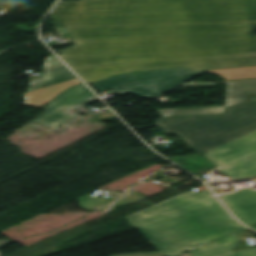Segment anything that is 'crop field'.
I'll return each instance as SVG.
<instances>
[{"label":"crop field","mask_w":256,"mask_h":256,"mask_svg":"<svg viewBox=\"0 0 256 256\" xmlns=\"http://www.w3.org/2000/svg\"><path fill=\"white\" fill-rule=\"evenodd\" d=\"M50 16L76 43L60 57L88 84L168 67L256 65V0L59 1Z\"/></svg>","instance_id":"crop-field-1"},{"label":"crop field","mask_w":256,"mask_h":256,"mask_svg":"<svg viewBox=\"0 0 256 256\" xmlns=\"http://www.w3.org/2000/svg\"><path fill=\"white\" fill-rule=\"evenodd\" d=\"M127 219L153 243L232 219V216L207 189L197 193L187 191Z\"/></svg>","instance_id":"crop-field-2"},{"label":"crop field","mask_w":256,"mask_h":256,"mask_svg":"<svg viewBox=\"0 0 256 256\" xmlns=\"http://www.w3.org/2000/svg\"><path fill=\"white\" fill-rule=\"evenodd\" d=\"M156 124L165 134L175 133L200 154L256 131V102L226 108L225 115L163 118Z\"/></svg>","instance_id":"crop-field-3"},{"label":"crop field","mask_w":256,"mask_h":256,"mask_svg":"<svg viewBox=\"0 0 256 256\" xmlns=\"http://www.w3.org/2000/svg\"><path fill=\"white\" fill-rule=\"evenodd\" d=\"M220 173L234 180L256 176V132L204 153ZM234 215L251 227L256 223V190L240 189L220 196Z\"/></svg>","instance_id":"crop-field-4"},{"label":"crop field","mask_w":256,"mask_h":256,"mask_svg":"<svg viewBox=\"0 0 256 256\" xmlns=\"http://www.w3.org/2000/svg\"><path fill=\"white\" fill-rule=\"evenodd\" d=\"M204 73L186 68L119 75L101 82L93 83L101 92L114 88L115 93L137 94L153 99Z\"/></svg>","instance_id":"crop-field-5"},{"label":"crop field","mask_w":256,"mask_h":256,"mask_svg":"<svg viewBox=\"0 0 256 256\" xmlns=\"http://www.w3.org/2000/svg\"><path fill=\"white\" fill-rule=\"evenodd\" d=\"M242 230H246V228L239 224L236 220L232 219L180 236L156 242L153 245L164 256H176L183 252L193 250L197 247L213 242L223 236L229 235L232 232Z\"/></svg>","instance_id":"crop-field-6"},{"label":"crop field","mask_w":256,"mask_h":256,"mask_svg":"<svg viewBox=\"0 0 256 256\" xmlns=\"http://www.w3.org/2000/svg\"><path fill=\"white\" fill-rule=\"evenodd\" d=\"M97 99L84 84L75 86L46 105L43 109L47 112L34 122L55 130L76 117L66 111Z\"/></svg>","instance_id":"crop-field-7"},{"label":"crop field","mask_w":256,"mask_h":256,"mask_svg":"<svg viewBox=\"0 0 256 256\" xmlns=\"http://www.w3.org/2000/svg\"><path fill=\"white\" fill-rule=\"evenodd\" d=\"M256 101V80L227 82L225 106L176 108L158 110L161 117L202 116L224 114L225 107Z\"/></svg>","instance_id":"crop-field-8"},{"label":"crop field","mask_w":256,"mask_h":256,"mask_svg":"<svg viewBox=\"0 0 256 256\" xmlns=\"http://www.w3.org/2000/svg\"><path fill=\"white\" fill-rule=\"evenodd\" d=\"M144 197L146 196L131 190L112 201L104 198H91L87 196H84L78 200L80 201L79 205L84 210L91 211L92 209H95L109 213L116 210L119 206H125Z\"/></svg>","instance_id":"crop-field-9"},{"label":"crop field","mask_w":256,"mask_h":256,"mask_svg":"<svg viewBox=\"0 0 256 256\" xmlns=\"http://www.w3.org/2000/svg\"><path fill=\"white\" fill-rule=\"evenodd\" d=\"M73 78H76V76L65 65L45 69L38 78L31 79L27 92Z\"/></svg>","instance_id":"crop-field-10"},{"label":"crop field","mask_w":256,"mask_h":256,"mask_svg":"<svg viewBox=\"0 0 256 256\" xmlns=\"http://www.w3.org/2000/svg\"><path fill=\"white\" fill-rule=\"evenodd\" d=\"M238 245L239 241L235 233H233L213 243L197 248L189 253L191 256H219L234 252Z\"/></svg>","instance_id":"crop-field-11"},{"label":"crop field","mask_w":256,"mask_h":256,"mask_svg":"<svg viewBox=\"0 0 256 256\" xmlns=\"http://www.w3.org/2000/svg\"><path fill=\"white\" fill-rule=\"evenodd\" d=\"M205 72L221 76L226 80L248 78V77L256 78V66L216 69V70H208Z\"/></svg>","instance_id":"crop-field-12"},{"label":"crop field","mask_w":256,"mask_h":256,"mask_svg":"<svg viewBox=\"0 0 256 256\" xmlns=\"http://www.w3.org/2000/svg\"><path fill=\"white\" fill-rule=\"evenodd\" d=\"M224 256H256V247Z\"/></svg>","instance_id":"crop-field-13"},{"label":"crop field","mask_w":256,"mask_h":256,"mask_svg":"<svg viewBox=\"0 0 256 256\" xmlns=\"http://www.w3.org/2000/svg\"><path fill=\"white\" fill-rule=\"evenodd\" d=\"M110 256H163L160 252H149V253H133V254H119Z\"/></svg>","instance_id":"crop-field-14"},{"label":"crop field","mask_w":256,"mask_h":256,"mask_svg":"<svg viewBox=\"0 0 256 256\" xmlns=\"http://www.w3.org/2000/svg\"><path fill=\"white\" fill-rule=\"evenodd\" d=\"M46 63L45 66H43V68H46V67H50V66H54V65H58V64H61L62 62L57 59L54 55L52 56H48V59L44 61Z\"/></svg>","instance_id":"crop-field-15"},{"label":"crop field","mask_w":256,"mask_h":256,"mask_svg":"<svg viewBox=\"0 0 256 256\" xmlns=\"http://www.w3.org/2000/svg\"><path fill=\"white\" fill-rule=\"evenodd\" d=\"M11 242L10 240H0V246Z\"/></svg>","instance_id":"crop-field-16"},{"label":"crop field","mask_w":256,"mask_h":256,"mask_svg":"<svg viewBox=\"0 0 256 256\" xmlns=\"http://www.w3.org/2000/svg\"><path fill=\"white\" fill-rule=\"evenodd\" d=\"M181 256H190L189 253H184L183 255Z\"/></svg>","instance_id":"crop-field-17"},{"label":"crop field","mask_w":256,"mask_h":256,"mask_svg":"<svg viewBox=\"0 0 256 256\" xmlns=\"http://www.w3.org/2000/svg\"><path fill=\"white\" fill-rule=\"evenodd\" d=\"M253 229H255V230H256V226H255V227H253Z\"/></svg>","instance_id":"crop-field-18"}]
</instances>
